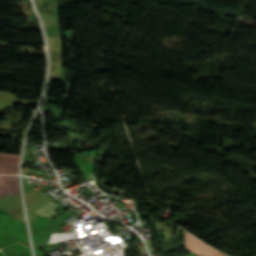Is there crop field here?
Returning a JSON list of instances; mask_svg holds the SVG:
<instances>
[{"label":"crop field","mask_w":256,"mask_h":256,"mask_svg":"<svg viewBox=\"0 0 256 256\" xmlns=\"http://www.w3.org/2000/svg\"><path fill=\"white\" fill-rule=\"evenodd\" d=\"M185 248L189 251L199 255V256H226L215 249L209 247L202 241L191 236L190 234H185Z\"/></svg>","instance_id":"obj_1"}]
</instances>
